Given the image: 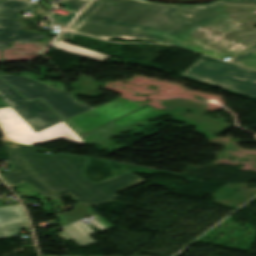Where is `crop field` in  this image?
I'll return each instance as SVG.
<instances>
[{
    "label": "crop field",
    "instance_id": "8a807250",
    "mask_svg": "<svg viewBox=\"0 0 256 256\" xmlns=\"http://www.w3.org/2000/svg\"><path fill=\"white\" fill-rule=\"evenodd\" d=\"M256 0L167 5L143 0H94L67 31L108 40L144 39L218 58L256 42Z\"/></svg>",
    "mask_w": 256,
    "mask_h": 256
},
{
    "label": "crop field",
    "instance_id": "ac0d7876",
    "mask_svg": "<svg viewBox=\"0 0 256 256\" xmlns=\"http://www.w3.org/2000/svg\"><path fill=\"white\" fill-rule=\"evenodd\" d=\"M12 170L2 174L3 179L14 187L22 182L29 184L49 200L70 194L74 201L94 206L112 201L115 194L145 180L126 172L115 178L96 183L89 181L82 170L86 157L71 155H40L35 147L4 142Z\"/></svg>",
    "mask_w": 256,
    "mask_h": 256
},
{
    "label": "crop field",
    "instance_id": "34b2d1b8",
    "mask_svg": "<svg viewBox=\"0 0 256 256\" xmlns=\"http://www.w3.org/2000/svg\"><path fill=\"white\" fill-rule=\"evenodd\" d=\"M181 76L256 98V71L203 56Z\"/></svg>",
    "mask_w": 256,
    "mask_h": 256
},
{
    "label": "crop field",
    "instance_id": "412701ff",
    "mask_svg": "<svg viewBox=\"0 0 256 256\" xmlns=\"http://www.w3.org/2000/svg\"><path fill=\"white\" fill-rule=\"evenodd\" d=\"M11 86L16 88L30 101L35 98L44 99L64 120L91 109L88 105L78 103L70 93L64 90L51 88L27 77H14L9 74H2Z\"/></svg>",
    "mask_w": 256,
    "mask_h": 256
},
{
    "label": "crop field",
    "instance_id": "f4fd0767",
    "mask_svg": "<svg viewBox=\"0 0 256 256\" xmlns=\"http://www.w3.org/2000/svg\"><path fill=\"white\" fill-rule=\"evenodd\" d=\"M0 128L5 136L1 140L30 146L59 139L65 135L76 143L84 144L83 140L64 121L35 134L9 107L0 109Z\"/></svg>",
    "mask_w": 256,
    "mask_h": 256
},
{
    "label": "crop field",
    "instance_id": "dd49c442",
    "mask_svg": "<svg viewBox=\"0 0 256 256\" xmlns=\"http://www.w3.org/2000/svg\"><path fill=\"white\" fill-rule=\"evenodd\" d=\"M0 99L7 103L35 133L62 121L40 99L32 103L27 102L1 79Z\"/></svg>",
    "mask_w": 256,
    "mask_h": 256
},
{
    "label": "crop field",
    "instance_id": "e52e79f7",
    "mask_svg": "<svg viewBox=\"0 0 256 256\" xmlns=\"http://www.w3.org/2000/svg\"><path fill=\"white\" fill-rule=\"evenodd\" d=\"M31 8V4L16 0L0 2V48H6L12 41L34 42L47 36L21 30L17 13Z\"/></svg>",
    "mask_w": 256,
    "mask_h": 256
},
{
    "label": "crop field",
    "instance_id": "d8731c3e",
    "mask_svg": "<svg viewBox=\"0 0 256 256\" xmlns=\"http://www.w3.org/2000/svg\"><path fill=\"white\" fill-rule=\"evenodd\" d=\"M63 42H60V41L57 40L52 45V47H55V48H58V49H61V50H65V51H68V52H71V53H74V54H77V55H80V56H83V57H86V58H89V59H93V60H96V61H99V62H102V63H104L107 59L110 58V56L103 55V54H100V53H97V52H93V51L83 49V48L73 46V45H70V44H67V43H63Z\"/></svg>",
    "mask_w": 256,
    "mask_h": 256
},
{
    "label": "crop field",
    "instance_id": "5a996713",
    "mask_svg": "<svg viewBox=\"0 0 256 256\" xmlns=\"http://www.w3.org/2000/svg\"><path fill=\"white\" fill-rule=\"evenodd\" d=\"M95 214L92 207H89L84 204L77 203L75 204L74 210L71 212H65L58 214L63 226L74 221H77L82 218L89 217Z\"/></svg>",
    "mask_w": 256,
    "mask_h": 256
},
{
    "label": "crop field",
    "instance_id": "3316defc",
    "mask_svg": "<svg viewBox=\"0 0 256 256\" xmlns=\"http://www.w3.org/2000/svg\"><path fill=\"white\" fill-rule=\"evenodd\" d=\"M25 221L28 220L20 205L0 208V225L19 223Z\"/></svg>",
    "mask_w": 256,
    "mask_h": 256
},
{
    "label": "crop field",
    "instance_id": "28ad6ade",
    "mask_svg": "<svg viewBox=\"0 0 256 256\" xmlns=\"http://www.w3.org/2000/svg\"><path fill=\"white\" fill-rule=\"evenodd\" d=\"M231 62L256 69V45L233 58Z\"/></svg>",
    "mask_w": 256,
    "mask_h": 256
},
{
    "label": "crop field",
    "instance_id": "d1516ede",
    "mask_svg": "<svg viewBox=\"0 0 256 256\" xmlns=\"http://www.w3.org/2000/svg\"><path fill=\"white\" fill-rule=\"evenodd\" d=\"M26 229H30L28 222L0 226V238L15 236V234L19 233L20 230H26Z\"/></svg>",
    "mask_w": 256,
    "mask_h": 256
},
{
    "label": "crop field",
    "instance_id": "22f410ed",
    "mask_svg": "<svg viewBox=\"0 0 256 256\" xmlns=\"http://www.w3.org/2000/svg\"><path fill=\"white\" fill-rule=\"evenodd\" d=\"M88 1L89 0H64L61 5L72 12H79Z\"/></svg>",
    "mask_w": 256,
    "mask_h": 256
},
{
    "label": "crop field",
    "instance_id": "cbeb9de0",
    "mask_svg": "<svg viewBox=\"0 0 256 256\" xmlns=\"http://www.w3.org/2000/svg\"><path fill=\"white\" fill-rule=\"evenodd\" d=\"M74 15H75L74 13H70L68 16L63 17L56 22L59 24L61 28H63L65 25H67L70 22V20L74 17Z\"/></svg>",
    "mask_w": 256,
    "mask_h": 256
},
{
    "label": "crop field",
    "instance_id": "5142ce71",
    "mask_svg": "<svg viewBox=\"0 0 256 256\" xmlns=\"http://www.w3.org/2000/svg\"><path fill=\"white\" fill-rule=\"evenodd\" d=\"M73 35H74V34L65 32L60 38H61V39H66V40H68V39L72 38Z\"/></svg>",
    "mask_w": 256,
    "mask_h": 256
},
{
    "label": "crop field",
    "instance_id": "d9b57169",
    "mask_svg": "<svg viewBox=\"0 0 256 256\" xmlns=\"http://www.w3.org/2000/svg\"><path fill=\"white\" fill-rule=\"evenodd\" d=\"M63 139H66V140H69V141L74 142V141H73V140H71L68 136H65Z\"/></svg>",
    "mask_w": 256,
    "mask_h": 256
},
{
    "label": "crop field",
    "instance_id": "733c2abd",
    "mask_svg": "<svg viewBox=\"0 0 256 256\" xmlns=\"http://www.w3.org/2000/svg\"><path fill=\"white\" fill-rule=\"evenodd\" d=\"M1 206H5L4 203L2 202V200L0 199V207Z\"/></svg>",
    "mask_w": 256,
    "mask_h": 256
}]
</instances>
